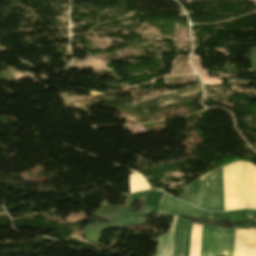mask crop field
Segmentation results:
<instances>
[{
    "instance_id": "obj_1",
    "label": "crop field",
    "mask_w": 256,
    "mask_h": 256,
    "mask_svg": "<svg viewBox=\"0 0 256 256\" xmlns=\"http://www.w3.org/2000/svg\"><path fill=\"white\" fill-rule=\"evenodd\" d=\"M235 231L203 226L200 256H232ZM235 244L256 246V230L237 229ZM235 245L233 256H256V247Z\"/></svg>"
},
{
    "instance_id": "obj_2",
    "label": "crop field",
    "mask_w": 256,
    "mask_h": 256,
    "mask_svg": "<svg viewBox=\"0 0 256 256\" xmlns=\"http://www.w3.org/2000/svg\"><path fill=\"white\" fill-rule=\"evenodd\" d=\"M225 210L247 208L245 162L223 167Z\"/></svg>"
},
{
    "instance_id": "obj_3",
    "label": "crop field",
    "mask_w": 256,
    "mask_h": 256,
    "mask_svg": "<svg viewBox=\"0 0 256 256\" xmlns=\"http://www.w3.org/2000/svg\"><path fill=\"white\" fill-rule=\"evenodd\" d=\"M202 190L192 194V204L209 211L224 210L222 168L201 177Z\"/></svg>"
},
{
    "instance_id": "obj_4",
    "label": "crop field",
    "mask_w": 256,
    "mask_h": 256,
    "mask_svg": "<svg viewBox=\"0 0 256 256\" xmlns=\"http://www.w3.org/2000/svg\"><path fill=\"white\" fill-rule=\"evenodd\" d=\"M158 214L164 215H189L196 217L214 218L209 212L193 207L189 204L180 202L171 196L164 194L161 204L159 206Z\"/></svg>"
},
{
    "instance_id": "obj_5",
    "label": "crop field",
    "mask_w": 256,
    "mask_h": 256,
    "mask_svg": "<svg viewBox=\"0 0 256 256\" xmlns=\"http://www.w3.org/2000/svg\"><path fill=\"white\" fill-rule=\"evenodd\" d=\"M248 208L256 209V167L246 163Z\"/></svg>"
},
{
    "instance_id": "obj_6",
    "label": "crop field",
    "mask_w": 256,
    "mask_h": 256,
    "mask_svg": "<svg viewBox=\"0 0 256 256\" xmlns=\"http://www.w3.org/2000/svg\"><path fill=\"white\" fill-rule=\"evenodd\" d=\"M176 217L174 216L172 226L168 232L158 237L156 256H171L172 252V241H173V230L175 226Z\"/></svg>"
},
{
    "instance_id": "obj_7",
    "label": "crop field",
    "mask_w": 256,
    "mask_h": 256,
    "mask_svg": "<svg viewBox=\"0 0 256 256\" xmlns=\"http://www.w3.org/2000/svg\"><path fill=\"white\" fill-rule=\"evenodd\" d=\"M186 227L176 223L172 256H183Z\"/></svg>"
},
{
    "instance_id": "obj_8",
    "label": "crop field",
    "mask_w": 256,
    "mask_h": 256,
    "mask_svg": "<svg viewBox=\"0 0 256 256\" xmlns=\"http://www.w3.org/2000/svg\"><path fill=\"white\" fill-rule=\"evenodd\" d=\"M202 226L193 223L191 239H190V254L189 256H199L200 254V237Z\"/></svg>"
},
{
    "instance_id": "obj_9",
    "label": "crop field",
    "mask_w": 256,
    "mask_h": 256,
    "mask_svg": "<svg viewBox=\"0 0 256 256\" xmlns=\"http://www.w3.org/2000/svg\"><path fill=\"white\" fill-rule=\"evenodd\" d=\"M131 193L149 190L150 186L144 181L141 175L134 173L129 175Z\"/></svg>"
}]
</instances>
